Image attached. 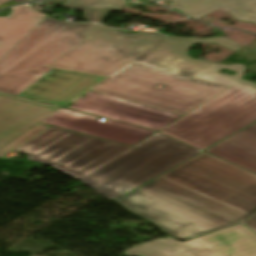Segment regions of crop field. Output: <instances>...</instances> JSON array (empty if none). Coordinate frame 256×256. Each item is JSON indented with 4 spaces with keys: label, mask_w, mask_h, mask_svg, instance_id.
<instances>
[{
    "label": "crop field",
    "mask_w": 256,
    "mask_h": 256,
    "mask_svg": "<svg viewBox=\"0 0 256 256\" xmlns=\"http://www.w3.org/2000/svg\"><path fill=\"white\" fill-rule=\"evenodd\" d=\"M116 201L181 240L239 224L251 216L161 177Z\"/></svg>",
    "instance_id": "crop-field-2"
},
{
    "label": "crop field",
    "mask_w": 256,
    "mask_h": 256,
    "mask_svg": "<svg viewBox=\"0 0 256 256\" xmlns=\"http://www.w3.org/2000/svg\"><path fill=\"white\" fill-rule=\"evenodd\" d=\"M33 256H36V255H33Z\"/></svg>",
    "instance_id": "crop-field-22"
},
{
    "label": "crop field",
    "mask_w": 256,
    "mask_h": 256,
    "mask_svg": "<svg viewBox=\"0 0 256 256\" xmlns=\"http://www.w3.org/2000/svg\"><path fill=\"white\" fill-rule=\"evenodd\" d=\"M48 127L49 126H46V125H43V124H40V123L36 124L35 126L30 128L26 132L21 134L20 136H18L17 138L13 139L9 143H7L3 147H1L0 148V157H3L6 154L10 153L13 149L20 146L21 144H23L24 142H26L27 140L34 137L35 135L42 132L43 130H45Z\"/></svg>",
    "instance_id": "crop-field-17"
},
{
    "label": "crop field",
    "mask_w": 256,
    "mask_h": 256,
    "mask_svg": "<svg viewBox=\"0 0 256 256\" xmlns=\"http://www.w3.org/2000/svg\"><path fill=\"white\" fill-rule=\"evenodd\" d=\"M168 6L181 9L193 18H198L225 6L237 19L256 23V0H177Z\"/></svg>",
    "instance_id": "crop-field-15"
},
{
    "label": "crop field",
    "mask_w": 256,
    "mask_h": 256,
    "mask_svg": "<svg viewBox=\"0 0 256 256\" xmlns=\"http://www.w3.org/2000/svg\"><path fill=\"white\" fill-rule=\"evenodd\" d=\"M8 1H11V0H0V5L3 4V3H6Z\"/></svg>",
    "instance_id": "crop-field-20"
},
{
    "label": "crop field",
    "mask_w": 256,
    "mask_h": 256,
    "mask_svg": "<svg viewBox=\"0 0 256 256\" xmlns=\"http://www.w3.org/2000/svg\"><path fill=\"white\" fill-rule=\"evenodd\" d=\"M68 108L159 131L183 115L90 91Z\"/></svg>",
    "instance_id": "crop-field-9"
},
{
    "label": "crop field",
    "mask_w": 256,
    "mask_h": 256,
    "mask_svg": "<svg viewBox=\"0 0 256 256\" xmlns=\"http://www.w3.org/2000/svg\"><path fill=\"white\" fill-rule=\"evenodd\" d=\"M125 3V0H67L62 6L80 9L86 12V21L101 23L108 14L104 7L120 9Z\"/></svg>",
    "instance_id": "crop-field-16"
},
{
    "label": "crop field",
    "mask_w": 256,
    "mask_h": 256,
    "mask_svg": "<svg viewBox=\"0 0 256 256\" xmlns=\"http://www.w3.org/2000/svg\"><path fill=\"white\" fill-rule=\"evenodd\" d=\"M83 35L87 38L50 67L111 76L91 90L183 115L230 87L174 76L133 61L191 77L214 64L187 56L191 44L213 42L234 51L242 47L223 37L130 35L94 23ZM160 84L164 88H156Z\"/></svg>",
    "instance_id": "crop-field-1"
},
{
    "label": "crop field",
    "mask_w": 256,
    "mask_h": 256,
    "mask_svg": "<svg viewBox=\"0 0 256 256\" xmlns=\"http://www.w3.org/2000/svg\"><path fill=\"white\" fill-rule=\"evenodd\" d=\"M60 108L10 95H0V147Z\"/></svg>",
    "instance_id": "crop-field-12"
},
{
    "label": "crop field",
    "mask_w": 256,
    "mask_h": 256,
    "mask_svg": "<svg viewBox=\"0 0 256 256\" xmlns=\"http://www.w3.org/2000/svg\"><path fill=\"white\" fill-rule=\"evenodd\" d=\"M222 68L238 73H218ZM244 70V65L215 64L193 76L233 87L160 132L203 149L256 121V84L240 79Z\"/></svg>",
    "instance_id": "crop-field-3"
},
{
    "label": "crop field",
    "mask_w": 256,
    "mask_h": 256,
    "mask_svg": "<svg viewBox=\"0 0 256 256\" xmlns=\"http://www.w3.org/2000/svg\"><path fill=\"white\" fill-rule=\"evenodd\" d=\"M246 225H248L250 228H252L253 230L256 231V214L253 215L252 217H250L248 220H246L245 222Z\"/></svg>",
    "instance_id": "crop-field-18"
},
{
    "label": "crop field",
    "mask_w": 256,
    "mask_h": 256,
    "mask_svg": "<svg viewBox=\"0 0 256 256\" xmlns=\"http://www.w3.org/2000/svg\"><path fill=\"white\" fill-rule=\"evenodd\" d=\"M42 123L130 146L135 145L155 132L108 119L100 122L98 118L64 109L54 113L43 120Z\"/></svg>",
    "instance_id": "crop-field-11"
},
{
    "label": "crop field",
    "mask_w": 256,
    "mask_h": 256,
    "mask_svg": "<svg viewBox=\"0 0 256 256\" xmlns=\"http://www.w3.org/2000/svg\"><path fill=\"white\" fill-rule=\"evenodd\" d=\"M206 151L256 172V123Z\"/></svg>",
    "instance_id": "crop-field-14"
},
{
    "label": "crop field",
    "mask_w": 256,
    "mask_h": 256,
    "mask_svg": "<svg viewBox=\"0 0 256 256\" xmlns=\"http://www.w3.org/2000/svg\"><path fill=\"white\" fill-rule=\"evenodd\" d=\"M199 152L157 133L79 180L115 200Z\"/></svg>",
    "instance_id": "crop-field-4"
},
{
    "label": "crop field",
    "mask_w": 256,
    "mask_h": 256,
    "mask_svg": "<svg viewBox=\"0 0 256 256\" xmlns=\"http://www.w3.org/2000/svg\"><path fill=\"white\" fill-rule=\"evenodd\" d=\"M161 177L243 212L256 213V175L205 152Z\"/></svg>",
    "instance_id": "crop-field-6"
},
{
    "label": "crop field",
    "mask_w": 256,
    "mask_h": 256,
    "mask_svg": "<svg viewBox=\"0 0 256 256\" xmlns=\"http://www.w3.org/2000/svg\"><path fill=\"white\" fill-rule=\"evenodd\" d=\"M27 1H33V0H14V1H11V2H8L6 4L1 5L0 8L1 7H5V6H10V5L18 4V3H22V2H27Z\"/></svg>",
    "instance_id": "crop-field-19"
},
{
    "label": "crop field",
    "mask_w": 256,
    "mask_h": 256,
    "mask_svg": "<svg viewBox=\"0 0 256 256\" xmlns=\"http://www.w3.org/2000/svg\"><path fill=\"white\" fill-rule=\"evenodd\" d=\"M106 78L108 77L55 69L19 95L66 107Z\"/></svg>",
    "instance_id": "crop-field-10"
},
{
    "label": "crop field",
    "mask_w": 256,
    "mask_h": 256,
    "mask_svg": "<svg viewBox=\"0 0 256 256\" xmlns=\"http://www.w3.org/2000/svg\"><path fill=\"white\" fill-rule=\"evenodd\" d=\"M125 256H256V234L239 224L184 243L154 240L125 250Z\"/></svg>",
    "instance_id": "crop-field-8"
},
{
    "label": "crop field",
    "mask_w": 256,
    "mask_h": 256,
    "mask_svg": "<svg viewBox=\"0 0 256 256\" xmlns=\"http://www.w3.org/2000/svg\"><path fill=\"white\" fill-rule=\"evenodd\" d=\"M8 17H0V59L48 16L30 4L12 7Z\"/></svg>",
    "instance_id": "crop-field-13"
},
{
    "label": "crop field",
    "mask_w": 256,
    "mask_h": 256,
    "mask_svg": "<svg viewBox=\"0 0 256 256\" xmlns=\"http://www.w3.org/2000/svg\"><path fill=\"white\" fill-rule=\"evenodd\" d=\"M129 148L51 127L14 152L79 179Z\"/></svg>",
    "instance_id": "crop-field-7"
},
{
    "label": "crop field",
    "mask_w": 256,
    "mask_h": 256,
    "mask_svg": "<svg viewBox=\"0 0 256 256\" xmlns=\"http://www.w3.org/2000/svg\"><path fill=\"white\" fill-rule=\"evenodd\" d=\"M89 24L48 17L0 60V91L18 95L52 68L47 67L80 41Z\"/></svg>",
    "instance_id": "crop-field-5"
},
{
    "label": "crop field",
    "mask_w": 256,
    "mask_h": 256,
    "mask_svg": "<svg viewBox=\"0 0 256 256\" xmlns=\"http://www.w3.org/2000/svg\"><path fill=\"white\" fill-rule=\"evenodd\" d=\"M136 62H140V61H138V60H136ZM140 63H143V62H140ZM144 64H146V63H144ZM151 66V65H150ZM154 67V66H153ZM159 69V68H158ZM162 70V69H161ZM167 72V71H166ZM170 73V72H169ZM175 75V74H174ZM179 76V75H178ZM188 78V77H187Z\"/></svg>",
    "instance_id": "crop-field-21"
}]
</instances>
